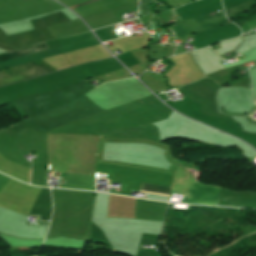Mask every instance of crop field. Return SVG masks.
<instances>
[{
    "label": "crop field",
    "instance_id": "1",
    "mask_svg": "<svg viewBox=\"0 0 256 256\" xmlns=\"http://www.w3.org/2000/svg\"><path fill=\"white\" fill-rule=\"evenodd\" d=\"M47 49H51V46L48 44V42H45V43L39 44V45H35V46L26 47V48H23L18 51L9 52V53L0 55V62L9 60V59H13V58H17V57H21L24 55L36 53L39 51L47 50Z\"/></svg>",
    "mask_w": 256,
    "mask_h": 256
},
{
    "label": "crop field",
    "instance_id": "2",
    "mask_svg": "<svg viewBox=\"0 0 256 256\" xmlns=\"http://www.w3.org/2000/svg\"><path fill=\"white\" fill-rule=\"evenodd\" d=\"M170 189L171 187L155 186V185H149L144 183H142L140 187V190H143V191H149V192H155V193H161V194H167V195H170Z\"/></svg>",
    "mask_w": 256,
    "mask_h": 256
}]
</instances>
